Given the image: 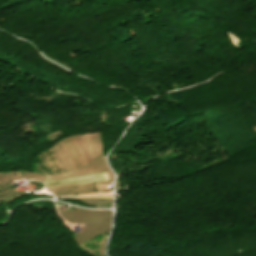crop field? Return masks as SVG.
Masks as SVG:
<instances>
[{
  "instance_id": "8a807250",
  "label": "crop field",
  "mask_w": 256,
  "mask_h": 256,
  "mask_svg": "<svg viewBox=\"0 0 256 256\" xmlns=\"http://www.w3.org/2000/svg\"><path fill=\"white\" fill-rule=\"evenodd\" d=\"M108 180L106 172L89 174L83 176L62 178L56 180H49L45 182V186L49 185H59V184H69V183H79V182H89V181H101Z\"/></svg>"
},
{
  "instance_id": "ac0d7876",
  "label": "crop field",
  "mask_w": 256,
  "mask_h": 256,
  "mask_svg": "<svg viewBox=\"0 0 256 256\" xmlns=\"http://www.w3.org/2000/svg\"><path fill=\"white\" fill-rule=\"evenodd\" d=\"M75 170L86 165L81 154L79 153L72 137L61 140Z\"/></svg>"
}]
</instances>
